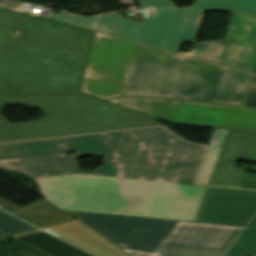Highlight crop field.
I'll return each instance as SVG.
<instances>
[{
    "mask_svg": "<svg viewBox=\"0 0 256 256\" xmlns=\"http://www.w3.org/2000/svg\"><path fill=\"white\" fill-rule=\"evenodd\" d=\"M205 149L158 127L0 145V168L79 173L75 158L100 156L96 176L35 179L41 195L63 210L193 221L207 188L193 184Z\"/></svg>",
    "mask_w": 256,
    "mask_h": 256,
    "instance_id": "8a807250",
    "label": "crop field"
},
{
    "mask_svg": "<svg viewBox=\"0 0 256 256\" xmlns=\"http://www.w3.org/2000/svg\"><path fill=\"white\" fill-rule=\"evenodd\" d=\"M18 43L0 56V96L79 91L95 32L0 9Z\"/></svg>",
    "mask_w": 256,
    "mask_h": 256,
    "instance_id": "ac0d7876",
    "label": "crop field"
},
{
    "mask_svg": "<svg viewBox=\"0 0 256 256\" xmlns=\"http://www.w3.org/2000/svg\"><path fill=\"white\" fill-rule=\"evenodd\" d=\"M248 79L246 73L138 44L123 96L240 105Z\"/></svg>",
    "mask_w": 256,
    "mask_h": 256,
    "instance_id": "34b2d1b8",
    "label": "crop field"
},
{
    "mask_svg": "<svg viewBox=\"0 0 256 256\" xmlns=\"http://www.w3.org/2000/svg\"><path fill=\"white\" fill-rule=\"evenodd\" d=\"M36 103L48 119L10 124L0 114V143L159 125L156 118L82 93L17 95L6 105Z\"/></svg>",
    "mask_w": 256,
    "mask_h": 256,
    "instance_id": "412701ff",
    "label": "crop field"
},
{
    "mask_svg": "<svg viewBox=\"0 0 256 256\" xmlns=\"http://www.w3.org/2000/svg\"><path fill=\"white\" fill-rule=\"evenodd\" d=\"M142 7L156 8L154 19L130 22L120 14L101 17L98 31L176 52L181 41L197 40L205 10L256 12V0H198L176 9L169 0H138Z\"/></svg>",
    "mask_w": 256,
    "mask_h": 256,
    "instance_id": "f4fd0767",
    "label": "crop field"
},
{
    "mask_svg": "<svg viewBox=\"0 0 256 256\" xmlns=\"http://www.w3.org/2000/svg\"><path fill=\"white\" fill-rule=\"evenodd\" d=\"M109 102L170 123L256 131V109L148 97L117 98Z\"/></svg>",
    "mask_w": 256,
    "mask_h": 256,
    "instance_id": "dd49c442",
    "label": "crop field"
},
{
    "mask_svg": "<svg viewBox=\"0 0 256 256\" xmlns=\"http://www.w3.org/2000/svg\"><path fill=\"white\" fill-rule=\"evenodd\" d=\"M195 221L246 226L224 256H256V191L209 187Z\"/></svg>",
    "mask_w": 256,
    "mask_h": 256,
    "instance_id": "e52e79f7",
    "label": "crop field"
},
{
    "mask_svg": "<svg viewBox=\"0 0 256 256\" xmlns=\"http://www.w3.org/2000/svg\"><path fill=\"white\" fill-rule=\"evenodd\" d=\"M136 45L96 33L80 91L106 100L122 96Z\"/></svg>",
    "mask_w": 256,
    "mask_h": 256,
    "instance_id": "d8731c3e",
    "label": "crop field"
},
{
    "mask_svg": "<svg viewBox=\"0 0 256 256\" xmlns=\"http://www.w3.org/2000/svg\"><path fill=\"white\" fill-rule=\"evenodd\" d=\"M243 229L178 222L154 253L123 251L129 256H223Z\"/></svg>",
    "mask_w": 256,
    "mask_h": 256,
    "instance_id": "5a996713",
    "label": "crop field"
},
{
    "mask_svg": "<svg viewBox=\"0 0 256 256\" xmlns=\"http://www.w3.org/2000/svg\"><path fill=\"white\" fill-rule=\"evenodd\" d=\"M194 57L253 72L256 13L232 12L225 40L196 44Z\"/></svg>",
    "mask_w": 256,
    "mask_h": 256,
    "instance_id": "3316defc",
    "label": "crop field"
},
{
    "mask_svg": "<svg viewBox=\"0 0 256 256\" xmlns=\"http://www.w3.org/2000/svg\"><path fill=\"white\" fill-rule=\"evenodd\" d=\"M76 219L124 248L154 252L177 222L92 213H76Z\"/></svg>",
    "mask_w": 256,
    "mask_h": 256,
    "instance_id": "28ad6ade",
    "label": "crop field"
},
{
    "mask_svg": "<svg viewBox=\"0 0 256 256\" xmlns=\"http://www.w3.org/2000/svg\"><path fill=\"white\" fill-rule=\"evenodd\" d=\"M237 159L256 161V133L229 131L210 185L256 189V174L236 169Z\"/></svg>",
    "mask_w": 256,
    "mask_h": 256,
    "instance_id": "d1516ede",
    "label": "crop field"
},
{
    "mask_svg": "<svg viewBox=\"0 0 256 256\" xmlns=\"http://www.w3.org/2000/svg\"><path fill=\"white\" fill-rule=\"evenodd\" d=\"M96 256H128L115 244L78 222L74 225L48 231Z\"/></svg>",
    "mask_w": 256,
    "mask_h": 256,
    "instance_id": "22f410ed",
    "label": "crop field"
},
{
    "mask_svg": "<svg viewBox=\"0 0 256 256\" xmlns=\"http://www.w3.org/2000/svg\"><path fill=\"white\" fill-rule=\"evenodd\" d=\"M41 228L67 221L74 212L63 211L45 199L11 213Z\"/></svg>",
    "mask_w": 256,
    "mask_h": 256,
    "instance_id": "cbeb9de0",
    "label": "crop field"
},
{
    "mask_svg": "<svg viewBox=\"0 0 256 256\" xmlns=\"http://www.w3.org/2000/svg\"><path fill=\"white\" fill-rule=\"evenodd\" d=\"M18 239L51 256H91L45 232Z\"/></svg>",
    "mask_w": 256,
    "mask_h": 256,
    "instance_id": "5142ce71",
    "label": "crop field"
},
{
    "mask_svg": "<svg viewBox=\"0 0 256 256\" xmlns=\"http://www.w3.org/2000/svg\"><path fill=\"white\" fill-rule=\"evenodd\" d=\"M227 131L228 130L222 129L215 130L208 151L206 153L205 159L203 161L201 170L199 172L198 178L196 180L197 184H208L214 166L216 164L218 155L220 153L221 147L223 145L225 136L227 134Z\"/></svg>",
    "mask_w": 256,
    "mask_h": 256,
    "instance_id": "d9b57169",
    "label": "crop field"
},
{
    "mask_svg": "<svg viewBox=\"0 0 256 256\" xmlns=\"http://www.w3.org/2000/svg\"><path fill=\"white\" fill-rule=\"evenodd\" d=\"M36 229L0 210V230L13 235Z\"/></svg>",
    "mask_w": 256,
    "mask_h": 256,
    "instance_id": "733c2abd",
    "label": "crop field"
},
{
    "mask_svg": "<svg viewBox=\"0 0 256 256\" xmlns=\"http://www.w3.org/2000/svg\"><path fill=\"white\" fill-rule=\"evenodd\" d=\"M96 19L97 17H78L61 11L53 20L94 30Z\"/></svg>",
    "mask_w": 256,
    "mask_h": 256,
    "instance_id": "4a817a6b",
    "label": "crop field"
},
{
    "mask_svg": "<svg viewBox=\"0 0 256 256\" xmlns=\"http://www.w3.org/2000/svg\"><path fill=\"white\" fill-rule=\"evenodd\" d=\"M245 106L256 107V82L254 81L250 84Z\"/></svg>",
    "mask_w": 256,
    "mask_h": 256,
    "instance_id": "bc2a9ffb",
    "label": "crop field"
},
{
    "mask_svg": "<svg viewBox=\"0 0 256 256\" xmlns=\"http://www.w3.org/2000/svg\"><path fill=\"white\" fill-rule=\"evenodd\" d=\"M14 42L5 30L0 29V52Z\"/></svg>",
    "mask_w": 256,
    "mask_h": 256,
    "instance_id": "214f88e0",
    "label": "crop field"
},
{
    "mask_svg": "<svg viewBox=\"0 0 256 256\" xmlns=\"http://www.w3.org/2000/svg\"><path fill=\"white\" fill-rule=\"evenodd\" d=\"M0 205L2 206V207H0L1 209L5 210V211H7L9 213L20 209L19 207H17L15 205H13V204H11V203L1 199V198H0Z\"/></svg>",
    "mask_w": 256,
    "mask_h": 256,
    "instance_id": "92a150f3",
    "label": "crop field"
},
{
    "mask_svg": "<svg viewBox=\"0 0 256 256\" xmlns=\"http://www.w3.org/2000/svg\"><path fill=\"white\" fill-rule=\"evenodd\" d=\"M76 222H78V220H73V221H70V222H68V223L61 224V225H59V226H55V227H51V228H45V229H43V230H45V231L53 230V229H57V228H61V227H65V226L74 224V223H76Z\"/></svg>",
    "mask_w": 256,
    "mask_h": 256,
    "instance_id": "dafd665d",
    "label": "crop field"
},
{
    "mask_svg": "<svg viewBox=\"0 0 256 256\" xmlns=\"http://www.w3.org/2000/svg\"><path fill=\"white\" fill-rule=\"evenodd\" d=\"M37 232H41V230H34V231H31V232H28V233H25V234H21V235H17V236H13V237L17 238V237H21V236L37 233Z\"/></svg>",
    "mask_w": 256,
    "mask_h": 256,
    "instance_id": "00972430",
    "label": "crop field"
},
{
    "mask_svg": "<svg viewBox=\"0 0 256 256\" xmlns=\"http://www.w3.org/2000/svg\"><path fill=\"white\" fill-rule=\"evenodd\" d=\"M251 80H255L256 81V65H255L253 76H252Z\"/></svg>",
    "mask_w": 256,
    "mask_h": 256,
    "instance_id": "a9b5d70f",
    "label": "crop field"
}]
</instances>
